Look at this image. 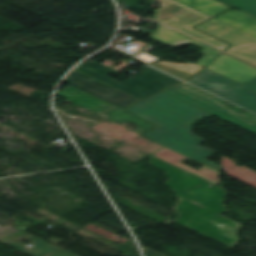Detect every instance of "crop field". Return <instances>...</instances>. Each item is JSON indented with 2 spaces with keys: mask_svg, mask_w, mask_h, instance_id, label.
<instances>
[{
  "mask_svg": "<svg viewBox=\"0 0 256 256\" xmlns=\"http://www.w3.org/2000/svg\"><path fill=\"white\" fill-rule=\"evenodd\" d=\"M150 160L151 165L165 171L166 177L170 178L165 184L173 189L179 197L178 201L180 202L178 205L197 212L222 225L228 223L239 229L240 224L220 215L227 210L223 205L226 190L215 185H211L213 188H210L209 182L194 177L153 156L150 157ZM196 185H200V187L198 188ZM188 200L206 208L204 209Z\"/></svg>",
  "mask_w": 256,
  "mask_h": 256,
  "instance_id": "8a807250",
  "label": "crop field"
},
{
  "mask_svg": "<svg viewBox=\"0 0 256 256\" xmlns=\"http://www.w3.org/2000/svg\"><path fill=\"white\" fill-rule=\"evenodd\" d=\"M127 110L159 126L158 129L144 135L145 137L221 171V166L205 159L214 152L198 146L205 140L191 132L193 124H189L143 101Z\"/></svg>",
  "mask_w": 256,
  "mask_h": 256,
  "instance_id": "ac0d7876",
  "label": "crop field"
},
{
  "mask_svg": "<svg viewBox=\"0 0 256 256\" xmlns=\"http://www.w3.org/2000/svg\"><path fill=\"white\" fill-rule=\"evenodd\" d=\"M152 39L163 43L169 47L180 46L187 42H193L203 46V54L205 56L197 63V65L204 67L212 58L221 53L211 47L203 45L193 39H190L180 33L172 31L168 28L160 26L157 35H151ZM207 69L226 76L230 79L238 81L242 84L254 79L256 77V68L246 64L240 60L230 57L224 53L212 62Z\"/></svg>",
  "mask_w": 256,
  "mask_h": 256,
  "instance_id": "34b2d1b8",
  "label": "crop field"
},
{
  "mask_svg": "<svg viewBox=\"0 0 256 256\" xmlns=\"http://www.w3.org/2000/svg\"><path fill=\"white\" fill-rule=\"evenodd\" d=\"M163 92L256 134V115L250 112L246 114L237 113L240 109L237 107L226 109L221 99L183 82Z\"/></svg>",
  "mask_w": 256,
  "mask_h": 256,
  "instance_id": "412701ff",
  "label": "crop field"
},
{
  "mask_svg": "<svg viewBox=\"0 0 256 256\" xmlns=\"http://www.w3.org/2000/svg\"><path fill=\"white\" fill-rule=\"evenodd\" d=\"M186 81L256 113V92L241 86L242 84L238 82L207 69L203 70L195 78Z\"/></svg>",
  "mask_w": 256,
  "mask_h": 256,
  "instance_id": "f4fd0767",
  "label": "crop field"
},
{
  "mask_svg": "<svg viewBox=\"0 0 256 256\" xmlns=\"http://www.w3.org/2000/svg\"><path fill=\"white\" fill-rule=\"evenodd\" d=\"M98 81H101L109 86H112L116 89H119L123 92H126L140 100L158 92L132 78L122 80V81H115L109 78L107 75L113 74L116 75L117 71L110 69L100 63L95 61H90L88 63L82 64L78 66L76 69Z\"/></svg>",
  "mask_w": 256,
  "mask_h": 256,
  "instance_id": "dd49c442",
  "label": "crop field"
},
{
  "mask_svg": "<svg viewBox=\"0 0 256 256\" xmlns=\"http://www.w3.org/2000/svg\"><path fill=\"white\" fill-rule=\"evenodd\" d=\"M90 77L74 70L64 82L113 105L126 107L140 100L102 84L98 81H89ZM92 79V78H91Z\"/></svg>",
  "mask_w": 256,
  "mask_h": 256,
  "instance_id": "e52e79f7",
  "label": "crop field"
},
{
  "mask_svg": "<svg viewBox=\"0 0 256 256\" xmlns=\"http://www.w3.org/2000/svg\"><path fill=\"white\" fill-rule=\"evenodd\" d=\"M176 209L179 216L175 222L231 248L238 242L236 239L218 233L222 225L178 205Z\"/></svg>",
  "mask_w": 256,
  "mask_h": 256,
  "instance_id": "d8731c3e",
  "label": "crop field"
},
{
  "mask_svg": "<svg viewBox=\"0 0 256 256\" xmlns=\"http://www.w3.org/2000/svg\"><path fill=\"white\" fill-rule=\"evenodd\" d=\"M144 101L189 123L199 120L205 116H212L163 92H160Z\"/></svg>",
  "mask_w": 256,
  "mask_h": 256,
  "instance_id": "5a996713",
  "label": "crop field"
},
{
  "mask_svg": "<svg viewBox=\"0 0 256 256\" xmlns=\"http://www.w3.org/2000/svg\"><path fill=\"white\" fill-rule=\"evenodd\" d=\"M152 155H154V156H156V157H158V158H160L164 161H167V162H169V163H171L175 166H178V167H180L184 170H187V171H189V172H191L195 175H198V176L208 180L209 182H211L215 185H217L219 180H220V171L215 170L213 168H210L206 165H203L201 163H198V162L190 159V160H192V161H194V162L203 166L199 171H197V170H195L191 167H188V166L182 164V162H181L182 159H189V158H187L185 156H182V155H180L176 152H173V151H171L167 148H163V149L159 150L158 152H156Z\"/></svg>",
  "mask_w": 256,
  "mask_h": 256,
  "instance_id": "3316defc",
  "label": "crop field"
},
{
  "mask_svg": "<svg viewBox=\"0 0 256 256\" xmlns=\"http://www.w3.org/2000/svg\"><path fill=\"white\" fill-rule=\"evenodd\" d=\"M57 95L99 115L115 106L76 90L70 86L57 92Z\"/></svg>",
  "mask_w": 256,
  "mask_h": 256,
  "instance_id": "28ad6ade",
  "label": "crop field"
},
{
  "mask_svg": "<svg viewBox=\"0 0 256 256\" xmlns=\"http://www.w3.org/2000/svg\"><path fill=\"white\" fill-rule=\"evenodd\" d=\"M215 19L256 37V18L241 11L233 9Z\"/></svg>",
  "mask_w": 256,
  "mask_h": 256,
  "instance_id": "d1516ede",
  "label": "crop field"
},
{
  "mask_svg": "<svg viewBox=\"0 0 256 256\" xmlns=\"http://www.w3.org/2000/svg\"><path fill=\"white\" fill-rule=\"evenodd\" d=\"M159 91L172 86L180 81L163 74L149 66L142 67L140 74L133 77Z\"/></svg>",
  "mask_w": 256,
  "mask_h": 256,
  "instance_id": "22f410ed",
  "label": "crop field"
},
{
  "mask_svg": "<svg viewBox=\"0 0 256 256\" xmlns=\"http://www.w3.org/2000/svg\"><path fill=\"white\" fill-rule=\"evenodd\" d=\"M100 116H102L112 122L126 121V122L133 123L137 126L140 133H144V132L156 127L155 125H151L141 119H138V118L128 114L126 111H124L123 109L118 108V107L116 109L110 110Z\"/></svg>",
  "mask_w": 256,
  "mask_h": 256,
  "instance_id": "cbeb9de0",
  "label": "crop field"
},
{
  "mask_svg": "<svg viewBox=\"0 0 256 256\" xmlns=\"http://www.w3.org/2000/svg\"><path fill=\"white\" fill-rule=\"evenodd\" d=\"M186 6L196 9L210 17L230 8L215 0H176Z\"/></svg>",
  "mask_w": 256,
  "mask_h": 256,
  "instance_id": "5142ce71",
  "label": "crop field"
},
{
  "mask_svg": "<svg viewBox=\"0 0 256 256\" xmlns=\"http://www.w3.org/2000/svg\"><path fill=\"white\" fill-rule=\"evenodd\" d=\"M25 239L34 242L35 245L33 247L29 248L21 243H11L10 246H12L26 254H29L31 256H43V255L49 253L50 251H52L53 249L57 248V247L52 246V245H50L32 235L26 237Z\"/></svg>",
  "mask_w": 256,
  "mask_h": 256,
  "instance_id": "d9b57169",
  "label": "crop field"
},
{
  "mask_svg": "<svg viewBox=\"0 0 256 256\" xmlns=\"http://www.w3.org/2000/svg\"><path fill=\"white\" fill-rule=\"evenodd\" d=\"M154 67H157L161 70H164L168 73H171L181 79H185L193 74H195L201 67L195 64H170V65H160L153 63L151 64Z\"/></svg>",
  "mask_w": 256,
  "mask_h": 256,
  "instance_id": "733c2abd",
  "label": "crop field"
},
{
  "mask_svg": "<svg viewBox=\"0 0 256 256\" xmlns=\"http://www.w3.org/2000/svg\"><path fill=\"white\" fill-rule=\"evenodd\" d=\"M256 17V0H220Z\"/></svg>",
  "mask_w": 256,
  "mask_h": 256,
  "instance_id": "4a817a6b",
  "label": "crop field"
},
{
  "mask_svg": "<svg viewBox=\"0 0 256 256\" xmlns=\"http://www.w3.org/2000/svg\"><path fill=\"white\" fill-rule=\"evenodd\" d=\"M237 231H238V229L227 224V225L223 226V228L220 230V233L238 239Z\"/></svg>",
  "mask_w": 256,
  "mask_h": 256,
  "instance_id": "bc2a9ffb",
  "label": "crop field"
},
{
  "mask_svg": "<svg viewBox=\"0 0 256 256\" xmlns=\"http://www.w3.org/2000/svg\"><path fill=\"white\" fill-rule=\"evenodd\" d=\"M48 256H75V255L59 249V250L49 254Z\"/></svg>",
  "mask_w": 256,
  "mask_h": 256,
  "instance_id": "214f88e0",
  "label": "crop field"
},
{
  "mask_svg": "<svg viewBox=\"0 0 256 256\" xmlns=\"http://www.w3.org/2000/svg\"><path fill=\"white\" fill-rule=\"evenodd\" d=\"M161 147H162V146L153 143V144H151V145H149V146L147 147V153L151 154V153L155 152L156 150H158V149L161 148Z\"/></svg>",
  "mask_w": 256,
  "mask_h": 256,
  "instance_id": "92a150f3",
  "label": "crop field"
},
{
  "mask_svg": "<svg viewBox=\"0 0 256 256\" xmlns=\"http://www.w3.org/2000/svg\"><path fill=\"white\" fill-rule=\"evenodd\" d=\"M243 86H245V87H247V88H249L251 90L256 91V78L254 80L244 84Z\"/></svg>",
  "mask_w": 256,
  "mask_h": 256,
  "instance_id": "dafd665d",
  "label": "crop field"
},
{
  "mask_svg": "<svg viewBox=\"0 0 256 256\" xmlns=\"http://www.w3.org/2000/svg\"><path fill=\"white\" fill-rule=\"evenodd\" d=\"M159 1H161L162 7L165 5L171 4L173 2H176L174 0H159Z\"/></svg>",
  "mask_w": 256,
  "mask_h": 256,
  "instance_id": "00972430",
  "label": "crop field"
},
{
  "mask_svg": "<svg viewBox=\"0 0 256 256\" xmlns=\"http://www.w3.org/2000/svg\"><path fill=\"white\" fill-rule=\"evenodd\" d=\"M157 63H161V64H169V63H172V62H157Z\"/></svg>",
  "mask_w": 256,
  "mask_h": 256,
  "instance_id": "a9b5d70f",
  "label": "crop field"
}]
</instances>
